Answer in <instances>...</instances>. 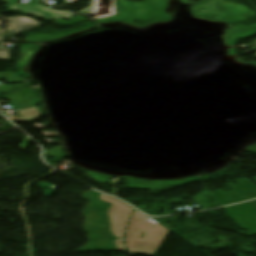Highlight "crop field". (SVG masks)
I'll list each match as a JSON object with an SVG mask.
<instances>
[{"instance_id":"obj_1","label":"crop field","mask_w":256,"mask_h":256,"mask_svg":"<svg viewBox=\"0 0 256 256\" xmlns=\"http://www.w3.org/2000/svg\"><path fill=\"white\" fill-rule=\"evenodd\" d=\"M168 231L136 211L131 218L126 235L129 252L154 255ZM142 233H144L143 238H141Z\"/></svg>"},{"instance_id":"obj_13","label":"crop field","mask_w":256,"mask_h":256,"mask_svg":"<svg viewBox=\"0 0 256 256\" xmlns=\"http://www.w3.org/2000/svg\"><path fill=\"white\" fill-rule=\"evenodd\" d=\"M256 57V56H255Z\"/></svg>"},{"instance_id":"obj_5","label":"crop field","mask_w":256,"mask_h":256,"mask_svg":"<svg viewBox=\"0 0 256 256\" xmlns=\"http://www.w3.org/2000/svg\"><path fill=\"white\" fill-rule=\"evenodd\" d=\"M32 90L31 87L18 89L7 94L4 98L10 101L18 110L35 107L36 104L31 98Z\"/></svg>"},{"instance_id":"obj_2","label":"crop field","mask_w":256,"mask_h":256,"mask_svg":"<svg viewBox=\"0 0 256 256\" xmlns=\"http://www.w3.org/2000/svg\"><path fill=\"white\" fill-rule=\"evenodd\" d=\"M100 199L112 203L107 215L110 217L112 234H114L115 237L120 238L114 242L119 251H127L121 238L124 237L125 227L127 225L129 216L134 209L129 207L127 204L107 195L101 194Z\"/></svg>"},{"instance_id":"obj_10","label":"crop field","mask_w":256,"mask_h":256,"mask_svg":"<svg viewBox=\"0 0 256 256\" xmlns=\"http://www.w3.org/2000/svg\"><path fill=\"white\" fill-rule=\"evenodd\" d=\"M25 138H27V139H29L30 141L29 142H27L26 140H24L23 141V143L20 145V148L22 149V150H24L25 151V149L28 147V145L31 143V139L30 138H28L27 136L25 137Z\"/></svg>"},{"instance_id":"obj_12","label":"crop field","mask_w":256,"mask_h":256,"mask_svg":"<svg viewBox=\"0 0 256 256\" xmlns=\"http://www.w3.org/2000/svg\"><path fill=\"white\" fill-rule=\"evenodd\" d=\"M251 179L256 182V177L255 178H251Z\"/></svg>"},{"instance_id":"obj_11","label":"crop field","mask_w":256,"mask_h":256,"mask_svg":"<svg viewBox=\"0 0 256 256\" xmlns=\"http://www.w3.org/2000/svg\"><path fill=\"white\" fill-rule=\"evenodd\" d=\"M94 7V0H91V5L89 7H87L86 9L80 11L79 13H88L89 11H91V9Z\"/></svg>"},{"instance_id":"obj_6","label":"crop field","mask_w":256,"mask_h":256,"mask_svg":"<svg viewBox=\"0 0 256 256\" xmlns=\"http://www.w3.org/2000/svg\"><path fill=\"white\" fill-rule=\"evenodd\" d=\"M20 112L25 117L23 119L18 120V121H22V122L38 120L42 116V112L40 111V109L38 107L21 110Z\"/></svg>"},{"instance_id":"obj_3","label":"crop field","mask_w":256,"mask_h":256,"mask_svg":"<svg viewBox=\"0 0 256 256\" xmlns=\"http://www.w3.org/2000/svg\"><path fill=\"white\" fill-rule=\"evenodd\" d=\"M8 2L10 5L8 6L11 10H20L25 13L35 14L47 19L54 20L58 17L68 19L75 14L62 12V11H54L51 10L41 4L38 3L39 0H34L35 2L29 4V5H22V4H16L20 0H4Z\"/></svg>"},{"instance_id":"obj_9","label":"crop field","mask_w":256,"mask_h":256,"mask_svg":"<svg viewBox=\"0 0 256 256\" xmlns=\"http://www.w3.org/2000/svg\"><path fill=\"white\" fill-rule=\"evenodd\" d=\"M0 60H10V49L0 46Z\"/></svg>"},{"instance_id":"obj_4","label":"crop field","mask_w":256,"mask_h":256,"mask_svg":"<svg viewBox=\"0 0 256 256\" xmlns=\"http://www.w3.org/2000/svg\"><path fill=\"white\" fill-rule=\"evenodd\" d=\"M4 20L10 22L11 26L9 29L3 32L0 40H7L21 32H25L43 25L41 22L30 17L16 16V17L6 18Z\"/></svg>"},{"instance_id":"obj_7","label":"crop field","mask_w":256,"mask_h":256,"mask_svg":"<svg viewBox=\"0 0 256 256\" xmlns=\"http://www.w3.org/2000/svg\"><path fill=\"white\" fill-rule=\"evenodd\" d=\"M30 85H33V84L24 83V84H13V85H1L0 86V93L6 94V93L10 92L13 89L20 88V87H26V86H30Z\"/></svg>"},{"instance_id":"obj_8","label":"crop field","mask_w":256,"mask_h":256,"mask_svg":"<svg viewBox=\"0 0 256 256\" xmlns=\"http://www.w3.org/2000/svg\"><path fill=\"white\" fill-rule=\"evenodd\" d=\"M63 146L54 148L52 150L46 151L44 155L50 156V157H66L65 153L62 151Z\"/></svg>"}]
</instances>
